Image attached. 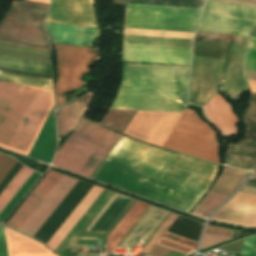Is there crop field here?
I'll return each mask as SVG.
<instances>
[{
	"label": "crop field",
	"instance_id": "obj_1",
	"mask_svg": "<svg viewBox=\"0 0 256 256\" xmlns=\"http://www.w3.org/2000/svg\"><path fill=\"white\" fill-rule=\"evenodd\" d=\"M218 166L122 136L91 178L190 212Z\"/></svg>",
	"mask_w": 256,
	"mask_h": 256
},
{
	"label": "crop field",
	"instance_id": "obj_2",
	"mask_svg": "<svg viewBox=\"0 0 256 256\" xmlns=\"http://www.w3.org/2000/svg\"><path fill=\"white\" fill-rule=\"evenodd\" d=\"M190 67L123 63L111 108L182 113Z\"/></svg>",
	"mask_w": 256,
	"mask_h": 256
},
{
	"label": "crop field",
	"instance_id": "obj_3",
	"mask_svg": "<svg viewBox=\"0 0 256 256\" xmlns=\"http://www.w3.org/2000/svg\"><path fill=\"white\" fill-rule=\"evenodd\" d=\"M52 106V90L20 85L0 125V147L29 157Z\"/></svg>",
	"mask_w": 256,
	"mask_h": 256
},
{
	"label": "crop field",
	"instance_id": "obj_4",
	"mask_svg": "<svg viewBox=\"0 0 256 256\" xmlns=\"http://www.w3.org/2000/svg\"><path fill=\"white\" fill-rule=\"evenodd\" d=\"M120 137L81 119L56 153L53 164L90 178Z\"/></svg>",
	"mask_w": 256,
	"mask_h": 256
},
{
	"label": "crop field",
	"instance_id": "obj_5",
	"mask_svg": "<svg viewBox=\"0 0 256 256\" xmlns=\"http://www.w3.org/2000/svg\"><path fill=\"white\" fill-rule=\"evenodd\" d=\"M163 147L218 163L215 132L186 108Z\"/></svg>",
	"mask_w": 256,
	"mask_h": 256
},
{
	"label": "crop field",
	"instance_id": "obj_6",
	"mask_svg": "<svg viewBox=\"0 0 256 256\" xmlns=\"http://www.w3.org/2000/svg\"><path fill=\"white\" fill-rule=\"evenodd\" d=\"M201 10L127 4L124 27L194 32Z\"/></svg>",
	"mask_w": 256,
	"mask_h": 256
},
{
	"label": "crop field",
	"instance_id": "obj_7",
	"mask_svg": "<svg viewBox=\"0 0 256 256\" xmlns=\"http://www.w3.org/2000/svg\"><path fill=\"white\" fill-rule=\"evenodd\" d=\"M54 45L57 51L56 102L58 108L65 104V91H73L86 84L81 80V76L90 75L91 67L97 57V50Z\"/></svg>",
	"mask_w": 256,
	"mask_h": 256
},
{
	"label": "crop field",
	"instance_id": "obj_8",
	"mask_svg": "<svg viewBox=\"0 0 256 256\" xmlns=\"http://www.w3.org/2000/svg\"><path fill=\"white\" fill-rule=\"evenodd\" d=\"M256 24V8L205 2L199 28L248 37Z\"/></svg>",
	"mask_w": 256,
	"mask_h": 256
},
{
	"label": "crop field",
	"instance_id": "obj_9",
	"mask_svg": "<svg viewBox=\"0 0 256 256\" xmlns=\"http://www.w3.org/2000/svg\"><path fill=\"white\" fill-rule=\"evenodd\" d=\"M223 61L193 56L188 101L203 106L218 93Z\"/></svg>",
	"mask_w": 256,
	"mask_h": 256
},
{
	"label": "crop field",
	"instance_id": "obj_10",
	"mask_svg": "<svg viewBox=\"0 0 256 256\" xmlns=\"http://www.w3.org/2000/svg\"><path fill=\"white\" fill-rule=\"evenodd\" d=\"M180 115L137 111L125 134L162 146Z\"/></svg>",
	"mask_w": 256,
	"mask_h": 256
},
{
	"label": "crop field",
	"instance_id": "obj_11",
	"mask_svg": "<svg viewBox=\"0 0 256 256\" xmlns=\"http://www.w3.org/2000/svg\"><path fill=\"white\" fill-rule=\"evenodd\" d=\"M191 49L124 44L123 61L190 66Z\"/></svg>",
	"mask_w": 256,
	"mask_h": 256
},
{
	"label": "crop field",
	"instance_id": "obj_12",
	"mask_svg": "<svg viewBox=\"0 0 256 256\" xmlns=\"http://www.w3.org/2000/svg\"><path fill=\"white\" fill-rule=\"evenodd\" d=\"M93 3L94 0H53L45 21L99 28Z\"/></svg>",
	"mask_w": 256,
	"mask_h": 256
},
{
	"label": "crop field",
	"instance_id": "obj_13",
	"mask_svg": "<svg viewBox=\"0 0 256 256\" xmlns=\"http://www.w3.org/2000/svg\"><path fill=\"white\" fill-rule=\"evenodd\" d=\"M76 182L77 180L63 175L42 203L21 227L20 231L33 237Z\"/></svg>",
	"mask_w": 256,
	"mask_h": 256
},
{
	"label": "crop field",
	"instance_id": "obj_14",
	"mask_svg": "<svg viewBox=\"0 0 256 256\" xmlns=\"http://www.w3.org/2000/svg\"><path fill=\"white\" fill-rule=\"evenodd\" d=\"M248 38L238 36L230 45L227 62L226 76L223 89L238 93L247 87L246 75V48Z\"/></svg>",
	"mask_w": 256,
	"mask_h": 256
},
{
	"label": "crop field",
	"instance_id": "obj_15",
	"mask_svg": "<svg viewBox=\"0 0 256 256\" xmlns=\"http://www.w3.org/2000/svg\"><path fill=\"white\" fill-rule=\"evenodd\" d=\"M61 176L62 174L48 171L12 217L7 221L6 225L19 230Z\"/></svg>",
	"mask_w": 256,
	"mask_h": 256
},
{
	"label": "crop field",
	"instance_id": "obj_16",
	"mask_svg": "<svg viewBox=\"0 0 256 256\" xmlns=\"http://www.w3.org/2000/svg\"><path fill=\"white\" fill-rule=\"evenodd\" d=\"M214 220L244 227H256V196L241 193Z\"/></svg>",
	"mask_w": 256,
	"mask_h": 256
},
{
	"label": "crop field",
	"instance_id": "obj_17",
	"mask_svg": "<svg viewBox=\"0 0 256 256\" xmlns=\"http://www.w3.org/2000/svg\"><path fill=\"white\" fill-rule=\"evenodd\" d=\"M54 43L88 47L99 36V29L44 22ZM44 26V27H45Z\"/></svg>",
	"mask_w": 256,
	"mask_h": 256
},
{
	"label": "crop field",
	"instance_id": "obj_18",
	"mask_svg": "<svg viewBox=\"0 0 256 256\" xmlns=\"http://www.w3.org/2000/svg\"><path fill=\"white\" fill-rule=\"evenodd\" d=\"M0 40L50 48L44 28L4 21L0 23Z\"/></svg>",
	"mask_w": 256,
	"mask_h": 256
},
{
	"label": "crop field",
	"instance_id": "obj_19",
	"mask_svg": "<svg viewBox=\"0 0 256 256\" xmlns=\"http://www.w3.org/2000/svg\"><path fill=\"white\" fill-rule=\"evenodd\" d=\"M117 196L113 195L112 198L109 200V202L106 204V206L103 208V210L100 212V214L97 216V218L94 220V222L91 224V226L88 228L87 231H91L92 228L96 225V223L100 220V218L104 215V213L108 210V208L112 205V203L116 200ZM123 199L119 198L118 201L114 204V206L110 209V211L107 213V215L103 218V220L99 223V225L95 228L94 231H98L100 227L105 223V221L110 217V215L116 210V208L121 204ZM130 199L124 200L122 204L117 208V210L112 214V216L106 221V223L101 227L99 231L106 232L107 229L111 226V224L114 222V220L118 217V215L122 212V210L125 208V206L129 203ZM130 203L126 206V208L131 204ZM126 208L123 210V212L126 210ZM129 208V207H128ZM122 212V213H123ZM122 213L119 215V217L122 215ZM125 213V212H124ZM123 213V214H124ZM118 217V218H119ZM118 218L115 220V222L118 220ZM121 218V217H120ZM119 218V219H120ZM114 222V223H115ZM118 222V221H117ZM116 222V223H117ZM113 223V224H114ZM115 223V224H116ZM112 224V226H113ZM111 226V227H112ZM110 227V228H111ZM114 227V226H113ZM112 227V228H113ZM109 228V229H110ZM111 228V229H112ZM108 229V231H109ZM110 229V231H111ZM107 231V232H108ZM109 231V232H110ZM108 233H97V232H85L84 235L81 237V239L78 241L77 244H94L97 245L98 240H104V238L107 236Z\"/></svg>",
	"mask_w": 256,
	"mask_h": 256
},
{
	"label": "crop field",
	"instance_id": "obj_20",
	"mask_svg": "<svg viewBox=\"0 0 256 256\" xmlns=\"http://www.w3.org/2000/svg\"><path fill=\"white\" fill-rule=\"evenodd\" d=\"M206 105L211 107L207 109L204 107ZM204 106L206 117L219 127L223 136L237 133V128L235 127L237 119L231 105L223 96L217 94Z\"/></svg>",
	"mask_w": 256,
	"mask_h": 256
},
{
	"label": "crop field",
	"instance_id": "obj_21",
	"mask_svg": "<svg viewBox=\"0 0 256 256\" xmlns=\"http://www.w3.org/2000/svg\"><path fill=\"white\" fill-rule=\"evenodd\" d=\"M49 5L12 1V9L4 18L5 21L41 26V21Z\"/></svg>",
	"mask_w": 256,
	"mask_h": 256
},
{
	"label": "crop field",
	"instance_id": "obj_22",
	"mask_svg": "<svg viewBox=\"0 0 256 256\" xmlns=\"http://www.w3.org/2000/svg\"><path fill=\"white\" fill-rule=\"evenodd\" d=\"M102 191L103 189L93 186L46 245L55 250Z\"/></svg>",
	"mask_w": 256,
	"mask_h": 256
},
{
	"label": "crop field",
	"instance_id": "obj_23",
	"mask_svg": "<svg viewBox=\"0 0 256 256\" xmlns=\"http://www.w3.org/2000/svg\"><path fill=\"white\" fill-rule=\"evenodd\" d=\"M9 256H56L46 247L4 227Z\"/></svg>",
	"mask_w": 256,
	"mask_h": 256
},
{
	"label": "crop field",
	"instance_id": "obj_24",
	"mask_svg": "<svg viewBox=\"0 0 256 256\" xmlns=\"http://www.w3.org/2000/svg\"><path fill=\"white\" fill-rule=\"evenodd\" d=\"M92 100V92L74 100L68 106L58 110L59 135L64 136L77 124L79 118L86 112Z\"/></svg>",
	"mask_w": 256,
	"mask_h": 256
},
{
	"label": "crop field",
	"instance_id": "obj_25",
	"mask_svg": "<svg viewBox=\"0 0 256 256\" xmlns=\"http://www.w3.org/2000/svg\"><path fill=\"white\" fill-rule=\"evenodd\" d=\"M149 205L136 201L118 225L107 237V253H112L130 229L135 225Z\"/></svg>",
	"mask_w": 256,
	"mask_h": 256
},
{
	"label": "crop field",
	"instance_id": "obj_26",
	"mask_svg": "<svg viewBox=\"0 0 256 256\" xmlns=\"http://www.w3.org/2000/svg\"><path fill=\"white\" fill-rule=\"evenodd\" d=\"M251 173L225 167L211 192L229 196Z\"/></svg>",
	"mask_w": 256,
	"mask_h": 256
},
{
	"label": "crop field",
	"instance_id": "obj_27",
	"mask_svg": "<svg viewBox=\"0 0 256 256\" xmlns=\"http://www.w3.org/2000/svg\"><path fill=\"white\" fill-rule=\"evenodd\" d=\"M0 55L50 63L51 52L0 44Z\"/></svg>",
	"mask_w": 256,
	"mask_h": 256
},
{
	"label": "crop field",
	"instance_id": "obj_28",
	"mask_svg": "<svg viewBox=\"0 0 256 256\" xmlns=\"http://www.w3.org/2000/svg\"><path fill=\"white\" fill-rule=\"evenodd\" d=\"M0 67L51 75L50 64L17 58L0 56Z\"/></svg>",
	"mask_w": 256,
	"mask_h": 256
},
{
	"label": "crop field",
	"instance_id": "obj_29",
	"mask_svg": "<svg viewBox=\"0 0 256 256\" xmlns=\"http://www.w3.org/2000/svg\"><path fill=\"white\" fill-rule=\"evenodd\" d=\"M124 43L191 48L192 40L124 35Z\"/></svg>",
	"mask_w": 256,
	"mask_h": 256
},
{
	"label": "crop field",
	"instance_id": "obj_30",
	"mask_svg": "<svg viewBox=\"0 0 256 256\" xmlns=\"http://www.w3.org/2000/svg\"><path fill=\"white\" fill-rule=\"evenodd\" d=\"M135 113L136 111L109 109L101 124L124 133Z\"/></svg>",
	"mask_w": 256,
	"mask_h": 256
},
{
	"label": "crop field",
	"instance_id": "obj_31",
	"mask_svg": "<svg viewBox=\"0 0 256 256\" xmlns=\"http://www.w3.org/2000/svg\"><path fill=\"white\" fill-rule=\"evenodd\" d=\"M33 170L23 166L13 180L8 184L4 191L0 194V212L32 174Z\"/></svg>",
	"mask_w": 256,
	"mask_h": 256
},
{
	"label": "crop field",
	"instance_id": "obj_32",
	"mask_svg": "<svg viewBox=\"0 0 256 256\" xmlns=\"http://www.w3.org/2000/svg\"><path fill=\"white\" fill-rule=\"evenodd\" d=\"M232 232L233 231L231 230L221 229L207 225L199 248L206 249L216 244L227 241L232 238Z\"/></svg>",
	"mask_w": 256,
	"mask_h": 256
},
{
	"label": "crop field",
	"instance_id": "obj_33",
	"mask_svg": "<svg viewBox=\"0 0 256 256\" xmlns=\"http://www.w3.org/2000/svg\"><path fill=\"white\" fill-rule=\"evenodd\" d=\"M227 196L215 194L209 192L208 195L203 199V201L196 206L192 214L206 217L211 211H213L218 205H220Z\"/></svg>",
	"mask_w": 256,
	"mask_h": 256
},
{
	"label": "crop field",
	"instance_id": "obj_34",
	"mask_svg": "<svg viewBox=\"0 0 256 256\" xmlns=\"http://www.w3.org/2000/svg\"><path fill=\"white\" fill-rule=\"evenodd\" d=\"M204 0H127V3L202 8Z\"/></svg>",
	"mask_w": 256,
	"mask_h": 256
},
{
	"label": "crop field",
	"instance_id": "obj_35",
	"mask_svg": "<svg viewBox=\"0 0 256 256\" xmlns=\"http://www.w3.org/2000/svg\"><path fill=\"white\" fill-rule=\"evenodd\" d=\"M124 34L192 39L194 33L124 28Z\"/></svg>",
	"mask_w": 256,
	"mask_h": 256
},
{
	"label": "crop field",
	"instance_id": "obj_36",
	"mask_svg": "<svg viewBox=\"0 0 256 256\" xmlns=\"http://www.w3.org/2000/svg\"><path fill=\"white\" fill-rule=\"evenodd\" d=\"M19 85L0 82V123L18 89Z\"/></svg>",
	"mask_w": 256,
	"mask_h": 256
},
{
	"label": "crop field",
	"instance_id": "obj_37",
	"mask_svg": "<svg viewBox=\"0 0 256 256\" xmlns=\"http://www.w3.org/2000/svg\"><path fill=\"white\" fill-rule=\"evenodd\" d=\"M4 73H10V74L22 75V76H28V77H35V78H39L40 80L17 77V76L4 74ZM0 79L7 80V81H12V82H18V83H24V84H30V85H37V86L52 88L51 87V79H48V78H42V77H36V76H30V75L0 71Z\"/></svg>",
	"mask_w": 256,
	"mask_h": 256
},
{
	"label": "crop field",
	"instance_id": "obj_38",
	"mask_svg": "<svg viewBox=\"0 0 256 256\" xmlns=\"http://www.w3.org/2000/svg\"><path fill=\"white\" fill-rule=\"evenodd\" d=\"M176 217L177 215L171 213L170 216L165 220V222L160 226V228L155 232V234L150 238V240L145 244V246L140 250L139 253L144 251L145 254H148L154 244L161 238V236L176 219Z\"/></svg>",
	"mask_w": 256,
	"mask_h": 256
},
{
	"label": "crop field",
	"instance_id": "obj_39",
	"mask_svg": "<svg viewBox=\"0 0 256 256\" xmlns=\"http://www.w3.org/2000/svg\"><path fill=\"white\" fill-rule=\"evenodd\" d=\"M17 162L18 161L11 157L3 154L0 155V183L4 180Z\"/></svg>",
	"mask_w": 256,
	"mask_h": 256
},
{
	"label": "crop field",
	"instance_id": "obj_40",
	"mask_svg": "<svg viewBox=\"0 0 256 256\" xmlns=\"http://www.w3.org/2000/svg\"><path fill=\"white\" fill-rule=\"evenodd\" d=\"M240 256H256V235L245 239Z\"/></svg>",
	"mask_w": 256,
	"mask_h": 256
},
{
	"label": "crop field",
	"instance_id": "obj_41",
	"mask_svg": "<svg viewBox=\"0 0 256 256\" xmlns=\"http://www.w3.org/2000/svg\"><path fill=\"white\" fill-rule=\"evenodd\" d=\"M157 244L163 245V246H165V247H168V248L177 250V251L182 252V253H185V254H189V253H191V252L194 251V249H191V248H188V247H186V246H183V245H180V244L171 242V241L166 240V239H163V238H161V239L158 241Z\"/></svg>",
	"mask_w": 256,
	"mask_h": 256
},
{
	"label": "crop field",
	"instance_id": "obj_42",
	"mask_svg": "<svg viewBox=\"0 0 256 256\" xmlns=\"http://www.w3.org/2000/svg\"><path fill=\"white\" fill-rule=\"evenodd\" d=\"M163 238H166V239H169L171 241L186 245V246L194 248V249L196 248V244H197L196 242L190 241L188 239L176 236V235L168 233V232L165 233Z\"/></svg>",
	"mask_w": 256,
	"mask_h": 256
},
{
	"label": "crop field",
	"instance_id": "obj_43",
	"mask_svg": "<svg viewBox=\"0 0 256 256\" xmlns=\"http://www.w3.org/2000/svg\"><path fill=\"white\" fill-rule=\"evenodd\" d=\"M172 251L173 250H170L168 248H165V247H162V246L156 244L154 246V248L150 251L148 256H164Z\"/></svg>",
	"mask_w": 256,
	"mask_h": 256
},
{
	"label": "crop field",
	"instance_id": "obj_44",
	"mask_svg": "<svg viewBox=\"0 0 256 256\" xmlns=\"http://www.w3.org/2000/svg\"><path fill=\"white\" fill-rule=\"evenodd\" d=\"M248 70L256 72V51L249 49Z\"/></svg>",
	"mask_w": 256,
	"mask_h": 256
},
{
	"label": "crop field",
	"instance_id": "obj_45",
	"mask_svg": "<svg viewBox=\"0 0 256 256\" xmlns=\"http://www.w3.org/2000/svg\"><path fill=\"white\" fill-rule=\"evenodd\" d=\"M196 34L212 36V37H219V38H226V39H234V40L237 37V36H234V35H227V34H221V33L207 32V31H201V30H198Z\"/></svg>",
	"mask_w": 256,
	"mask_h": 256
},
{
	"label": "crop field",
	"instance_id": "obj_46",
	"mask_svg": "<svg viewBox=\"0 0 256 256\" xmlns=\"http://www.w3.org/2000/svg\"><path fill=\"white\" fill-rule=\"evenodd\" d=\"M0 256H8L3 227H0Z\"/></svg>",
	"mask_w": 256,
	"mask_h": 256
},
{
	"label": "crop field",
	"instance_id": "obj_47",
	"mask_svg": "<svg viewBox=\"0 0 256 256\" xmlns=\"http://www.w3.org/2000/svg\"><path fill=\"white\" fill-rule=\"evenodd\" d=\"M239 191L256 195V188L243 186Z\"/></svg>",
	"mask_w": 256,
	"mask_h": 256
},
{
	"label": "crop field",
	"instance_id": "obj_48",
	"mask_svg": "<svg viewBox=\"0 0 256 256\" xmlns=\"http://www.w3.org/2000/svg\"><path fill=\"white\" fill-rule=\"evenodd\" d=\"M0 43H6V44H12V45H18V46H24V47H30V48H36V49H42V50H48V51H50V49L41 48V47H34V46H28V45H22V44H15V43H9V42H2V41H0Z\"/></svg>",
	"mask_w": 256,
	"mask_h": 256
},
{
	"label": "crop field",
	"instance_id": "obj_49",
	"mask_svg": "<svg viewBox=\"0 0 256 256\" xmlns=\"http://www.w3.org/2000/svg\"><path fill=\"white\" fill-rule=\"evenodd\" d=\"M249 48L256 50V38L250 37Z\"/></svg>",
	"mask_w": 256,
	"mask_h": 256
},
{
	"label": "crop field",
	"instance_id": "obj_50",
	"mask_svg": "<svg viewBox=\"0 0 256 256\" xmlns=\"http://www.w3.org/2000/svg\"><path fill=\"white\" fill-rule=\"evenodd\" d=\"M252 92H256V81L248 80Z\"/></svg>",
	"mask_w": 256,
	"mask_h": 256
},
{
	"label": "crop field",
	"instance_id": "obj_51",
	"mask_svg": "<svg viewBox=\"0 0 256 256\" xmlns=\"http://www.w3.org/2000/svg\"><path fill=\"white\" fill-rule=\"evenodd\" d=\"M245 185L251 186V187H256V180L250 179Z\"/></svg>",
	"mask_w": 256,
	"mask_h": 256
},
{
	"label": "crop field",
	"instance_id": "obj_52",
	"mask_svg": "<svg viewBox=\"0 0 256 256\" xmlns=\"http://www.w3.org/2000/svg\"><path fill=\"white\" fill-rule=\"evenodd\" d=\"M185 254H182V253H179V252H176V251H174V252H172V253H170V254H168V255H166V256H184Z\"/></svg>",
	"mask_w": 256,
	"mask_h": 256
},
{
	"label": "crop field",
	"instance_id": "obj_53",
	"mask_svg": "<svg viewBox=\"0 0 256 256\" xmlns=\"http://www.w3.org/2000/svg\"><path fill=\"white\" fill-rule=\"evenodd\" d=\"M250 36L252 37H256V27L253 29V31L251 32Z\"/></svg>",
	"mask_w": 256,
	"mask_h": 256
},
{
	"label": "crop field",
	"instance_id": "obj_54",
	"mask_svg": "<svg viewBox=\"0 0 256 256\" xmlns=\"http://www.w3.org/2000/svg\"><path fill=\"white\" fill-rule=\"evenodd\" d=\"M30 1H37V2H43V3L49 2V0H30Z\"/></svg>",
	"mask_w": 256,
	"mask_h": 256
},
{
	"label": "crop field",
	"instance_id": "obj_55",
	"mask_svg": "<svg viewBox=\"0 0 256 256\" xmlns=\"http://www.w3.org/2000/svg\"><path fill=\"white\" fill-rule=\"evenodd\" d=\"M85 80H90V77H85Z\"/></svg>",
	"mask_w": 256,
	"mask_h": 256
},
{
	"label": "crop field",
	"instance_id": "obj_56",
	"mask_svg": "<svg viewBox=\"0 0 256 256\" xmlns=\"http://www.w3.org/2000/svg\"><path fill=\"white\" fill-rule=\"evenodd\" d=\"M252 177H255V178H256V173H255Z\"/></svg>",
	"mask_w": 256,
	"mask_h": 256
},
{
	"label": "crop field",
	"instance_id": "obj_57",
	"mask_svg": "<svg viewBox=\"0 0 256 256\" xmlns=\"http://www.w3.org/2000/svg\"><path fill=\"white\" fill-rule=\"evenodd\" d=\"M89 248H91V245H89Z\"/></svg>",
	"mask_w": 256,
	"mask_h": 256
}]
</instances>
